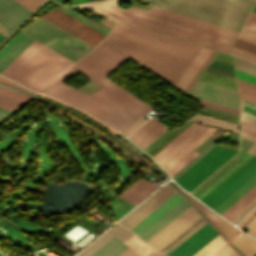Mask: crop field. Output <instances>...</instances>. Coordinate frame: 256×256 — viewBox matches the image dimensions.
<instances>
[{"label": "crop field", "instance_id": "8a807250", "mask_svg": "<svg viewBox=\"0 0 256 256\" xmlns=\"http://www.w3.org/2000/svg\"><path fill=\"white\" fill-rule=\"evenodd\" d=\"M127 59L102 42L78 60L44 94L70 103L120 131L153 108L104 77ZM75 70L104 88L88 95L60 82Z\"/></svg>", "mask_w": 256, "mask_h": 256}, {"label": "crop field", "instance_id": "ac0d7876", "mask_svg": "<svg viewBox=\"0 0 256 256\" xmlns=\"http://www.w3.org/2000/svg\"><path fill=\"white\" fill-rule=\"evenodd\" d=\"M107 44L174 85L201 46L118 22Z\"/></svg>", "mask_w": 256, "mask_h": 256}, {"label": "crop field", "instance_id": "34b2d1b8", "mask_svg": "<svg viewBox=\"0 0 256 256\" xmlns=\"http://www.w3.org/2000/svg\"><path fill=\"white\" fill-rule=\"evenodd\" d=\"M121 0H101L79 6L94 10L115 20L230 54L235 36L129 6H117Z\"/></svg>", "mask_w": 256, "mask_h": 256}, {"label": "crop field", "instance_id": "412701ff", "mask_svg": "<svg viewBox=\"0 0 256 256\" xmlns=\"http://www.w3.org/2000/svg\"><path fill=\"white\" fill-rule=\"evenodd\" d=\"M73 63L34 40L1 74L43 93Z\"/></svg>", "mask_w": 256, "mask_h": 256}, {"label": "crop field", "instance_id": "f4fd0767", "mask_svg": "<svg viewBox=\"0 0 256 256\" xmlns=\"http://www.w3.org/2000/svg\"><path fill=\"white\" fill-rule=\"evenodd\" d=\"M152 6L239 32L254 1L151 0ZM256 3V2H255Z\"/></svg>", "mask_w": 256, "mask_h": 256}, {"label": "crop field", "instance_id": "dd49c442", "mask_svg": "<svg viewBox=\"0 0 256 256\" xmlns=\"http://www.w3.org/2000/svg\"><path fill=\"white\" fill-rule=\"evenodd\" d=\"M22 31L74 61L93 48L40 17Z\"/></svg>", "mask_w": 256, "mask_h": 256}, {"label": "crop field", "instance_id": "e52e79f7", "mask_svg": "<svg viewBox=\"0 0 256 256\" xmlns=\"http://www.w3.org/2000/svg\"><path fill=\"white\" fill-rule=\"evenodd\" d=\"M237 151L216 146L175 181L190 192Z\"/></svg>", "mask_w": 256, "mask_h": 256}, {"label": "crop field", "instance_id": "d8731c3e", "mask_svg": "<svg viewBox=\"0 0 256 256\" xmlns=\"http://www.w3.org/2000/svg\"><path fill=\"white\" fill-rule=\"evenodd\" d=\"M186 96L238 109L239 99L235 89L197 81Z\"/></svg>", "mask_w": 256, "mask_h": 256}, {"label": "crop field", "instance_id": "5a996713", "mask_svg": "<svg viewBox=\"0 0 256 256\" xmlns=\"http://www.w3.org/2000/svg\"><path fill=\"white\" fill-rule=\"evenodd\" d=\"M200 217L201 216L190 207L147 243L159 250Z\"/></svg>", "mask_w": 256, "mask_h": 256}, {"label": "crop field", "instance_id": "3316defc", "mask_svg": "<svg viewBox=\"0 0 256 256\" xmlns=\"http://www.w3.org/2000/svg\"><path fill=\"white\" fill-rule=\"evenodd\" d=\"M175 192L176 191L166 183L158 192L152 195L118 223L129 229Z\"/></svg>", "mask_w": 256, "mask_h": 256}, {"label": "crop field", "instance_id": "28ad6ade", "mask_svg": "<svg viewBox=\"0 0 256 256\" xmlns=\"http://www.w3.org/2000/svg\"><path fill=\"white\" fill-rule=\"evenodd\" d=\"M215 235H217V233L206 224L168 255L190 256Z\"/></svg>", "mask_w": 256, "mask_h": 256}, {"label": "crop field", "instance_id": "d1516ede", "mask_svg": "<svg viewBox=\"0 0 256 256\" xmlns=\"http://www.w3.org/2000/svg\"><path fill=\"white\" fill-rule=\"evenodd\" d=\"M41 17L93 47L103 40L52 11Z\"/></svg>", "mask_w": 256, "mask_h": 256}, {"label": "crop field", "instance_id": "22f410ed", "mask_svg": "<svg viewBox=\"0 0 256 256\" xmlns=\"http://www.w3.org/2000/svg\"><path fill=\"white\" fill-rule=\"evenodd\" d=\"M31 13L15 0H0V22L12 30Z\"/></svg>", "mask_w": 256, "mask_h": 256}, {"label": "crop field", "instance_id": "cbeb9de0", "mask_svg": "<svg viewBox=\"0 0 256 256\" xmlns=\"http://www.w3.org/2000/svg\"><path fill=\"white\" fill-rule=\"evenodd\" d=\"M167 129L151 117L128 138L143 149Z\"/></svg>", "mask_w": 256, "mask_h": 256}, {"label": "crop field", "instance_id": "5142ce71", "mask_svg": "<svg viewBox=\"0 0 256 256\" xmlns=\"http://www.w3.org/2000/svg\"><path fill=\"white\" fill-rule=\"evenodd\" d=\"M204 127V125L192 123L152 158L161 164Z\"/></svg>", "mask_w": 256, "mask_h": 256}, {"label": "crop field", "instance_id": "d9b57169", "mask_svg": "<svg viewBox=\"0 0 256 256\" xmlns=\"http://www.w3.org/2000/svg\"><path fill=\"white\" fill-rule=\"evenodd\" d=\"M183 200L178 193L174 194L130 231L139 236Z\"/></svg>", "mask_w": 256, "mask_h": 256}, {"label": "crop field", "instance_id": "733c2abd", "mask_svg": "<svg viewBox=\"0 0 256 256\" xmlns=\"http://www.w3.org/2000/svg\"><path fill=\"white\" fill-rule=\"evenodd\" d=\"M34 39L26 34L19 32L1 51H0V72L18 56Z\"/></svg>", "mask_w": 256, "mask_h": 256}, {"label": "crop field", "instance_id": "4a817a6b", "mask_svg": "<svg viewBox=\"0 0 256 256\" xmlns=\"http://www.w3.org/2000/svg\"><path fill=\"white\" fill-rule=\"evenodd\" d=\"M211 52L212 50L202 47V49L199 51V53L196 55V57L193 59V61L190 63V65L187 67V69L184 71L174 86L183 91L193 76L196 74V72L199 70V68L202 66V64L205 62V60L208 58V56L211 54Z\"/></svg>", "mask_w": 256, "mask_h": 256}, {"label": "crop field", "instance_id": "bc2a9ffb", "mask_svg": "<svg viewBox=\"0 0 256 256\" xmlns=\"http://www.w3.org/2000/svg\"><path fill=\"white\" fill-rule=\"evenodd\" d=\"M189 207L190 206L184 200L139 237L147 242Z\"/></svg>", "mask_w": 256, "mask_h": 256}, {"label": "crop field", "instance_id": "214f88e0", "mask_svg": "<svg viewBox=\"0 0 256 256\" xmlns=\"http://www.w3.org/2000/svg\"><path fill=\"white\" fill-rule=\"evenodd\" d=\"M155 188H157V186L140 178L122 194H120V196L137 204Z\"/></svg>", "mask_w": 256, "mask_h": 256}, {"label": "crop field", "instance_id": "92a150f3", "mask_svg": "<svg viewBox=\"0 0 256 256\" xmlns=\"http://www.w3.org/2000/svg\"><path fill=\"white\" fill-rule=\"evenodd\" d=\"M185 195L223 233L228 240L238 231L191 197L189 194L186 193Z\"/></svg>", "mask_w": 256, "mask_h": 256}, {"label": "crop field", "instance_id": "dafd665d", "mask_svg": "<svg viewBox=\"0 0 256 256\" xmlns=\"http://www.w3.org/2000/svg\"><path fill=\"white\" fill-rule=\"evenodd\" d=\"M115 234L124 241L133 233L129 232L128 230L122 228L119 225H116L115 227H113L112 229L104 233L101 237H99L95 242H93L90 246H88L85 250H83L77 256H89L92 252H94L97 248L103 245Z\"/></svg>", "mask_w": 256, "mask_h": 256}, {"label": "crop field", "instance_id": "00972430", "mask_svg": "<svg viewBox=\"0 0 256 256\" xmlns=\"http://www.w3.org/2000/svg\"><path fill=\"white\" fill-rule=\"evenodd\" d=\"M255 163H256V156L251 158L247 163H245L241 168H239L235 173H233L229 178H227L223 183H221L217 188H215L211 193H209L201 201H203L207 205L209 202H211L216 196H218L223 190H225L230 184H232L237 178H239L244 172H246Z\"/></svg>", "mask_w": 256, "mask_h": 256}, {"label": "crop field", "instance_id": "a9b5d70f", "mask_svg": "<svg viewBox=\"0 0 256 256\" xmlns=\"http://www.w3.org/2000/svg\"><path fill=\"white\" fill-rule=\"evenodd\" d=\"M254 174H256V164L251 167L246 173H244L239 179H237L232 185H230L225 191H223L218 197H216L207 206L215 208L222 201H224L229 195H231L235 190H237L242 184H244L248 179H250Z\"/></svg>", "mask_w": 256, "mask_h": 256}, {"label": "crop field", "instance_id": "4177f3b9", "mask_svg": "<svg viewBox=\"0 0 256 256\" xmlns=\"http://www.w3.org/2000/svg\"><path fill=\"white\" fill-rule=\"evenodd\" d=\"M127 248L126 245L114 236L90 256H118Z\"/></svg>", "mask_w": 256, "mask_h": 256}, {"label": "crop field", "instance_id": "730fd06b", "mask_svg": "<svg viewBox=\"0 0 256 256\" xmlns=\"http://www.w3.org/2000/svg\"><path fill=\"white\" fill-rule=\"evenodd\" d=\"M189 121L197 122V123H202L214 127H219L227 130H232L237 133H239V126L236 123L220 120V119H215L203 115L196 114L193 117L189 119Z\"/></svg>", "mask_w": 256, "mask_h": 256}, {"label": "crop field", "instance_id": "eef30255", "mask_svg": "<svg viewBox=\"0 0 256 256\" xmlns=\"http://www.w3.org/2000/svg\"><path fill=\"white\" fill-rule=\"evenodd\" d=\"M255 184H256V175H254L250 180H248L243 186H241L237 191H235L231 196H229L224 202H222L214 210H216L218 213L221 214L236 200H238L243 194H245L250 188H252Z\"/></svg>", "mask_w": 256, "mask_h": 256}, {"label": "crop field", "instance_id": "ae1a2a85", "mask_svg": "<svg viewBox=\"0 0 256 256\" xmlns=\"http://www.w3.org/2000/svg\"><path fill=\"white\" fill-rule=\"evenodd\" d=\"M255 197H256V185L252 189H250L245 195H243L238 201H236L232 206H230L221 215H223L225 218L229 220L237 212H239L244 206H246L250 201H252Z\"/></svg>", "mask_w": 256, "mask_h": 256}, {"label": "crop field", "instance_id": "d3111659", "mask_svg": "<svg viewBox=\"0 0 256 256\" xmlns=\"http://www.w3.org/2000/svg\"><path fill=\"white\" fill-rule=\"evenodd\" d=\"M231 242L244 256L256 252V242L241 232Z\"/></svg>", "mask_w": 256, "mask_h": 256}, {"label": "crop field", "instance_id": "750c4746", "mask_svg": "<svg viewBox=\"0 0 256 256\" xmlns=\"http://www.w3.org/2000/svg\"><path fill=\"white\" fill-rule=\"evenodd\" d=\"M217 129L210 128L202 136H200L196 141H194L190 146H188L184 151H182L178 156H176L172 161H170L163 168L168 172L173 168L180 160H182L188 153L195 149L199 144H201L207 137H209Z\"/></svg>", "mask_w": 256, "mask_h": 256}, {"label": "crop field", "instance_id": "bd1437ed", "mask_svg": "<svg viewBox=\"0 0 256 256\" xmlns=\"http://www.w3.org/2000/svg\"><path fill=\"white\" fill-rule=\"evenodd\" d=\"M128 246H130L137 254L140 256H154L156 250L151 248L149 245L144 243L134 234L124 241Z\"/></svg>", "mask_w": 256, "mask_h": 256}, {"label": "crop field", "instance_id": "1d83c4d3", "mask_svg": "<svg viewBox=\"0 0 256 256\" xmlns=\"http://www.w3.org/2000/svg\"><path fill=\"white\" fill-rule=\"evenodd\" d=\"M225 243L222 237L218 235L192 256H214Z\"/></svg>", "mask_w": 256, "mask_h": 256}, {"label": "crop field", "instance_id": "120bbe31", "mask_svg": "<svg viewBox=\"0 0 256 256\" xmlns=\"http://www.w3.org/2000/svg\"><path fill=\"white\" fill-rule=\"evenodd\" d=\"M151 11H155V12H158V13H161V14H165V15H168V16H171V17H175V18H178V19H181V20H185V21H188V22H191V23H195V24L205 26V27H208V28H211V29H215V30H218V31H221V32H225V33H228V34H231V35H235V36L237 35V32H233V31H230V30H227V29H223V28H220V27H217V26H213V25H210V24H207V23H203V22H200V21H197V20H193V19H190V18H187V17H183V16L173 14V13H170V12H167V11H163V10H160V9H157V8L152 7Z\"/></svg>", "mask_w": 256, "mask_h": 256}, {"label": "crop field", "instance_id": "d32e631a", "mask_svg": "<svg viewBox=\"0 0 256 256\" xmlns=\"http://www.w3.org/2000/svg\"><path fill=\"white\" fill-rule=\"evenodd\" d=\"M59 10L63 11L64 13L70 15L71 17L77 19L78 21L84 23L85 25L91 27L92 29L98 31L99 33L103 34V35H107V33L109 31H107L106 29H104L103 27L89 21L87 18L79 15L78 13L66 8V7H61V8H58Z\"/></svg>", "mask_w": 256, "mask_h": 256}, {"label": "crop field", "instance_id": "5866460e", "mask_svg": "<svg viewBox=\"0 0 256 256\" xmlns=\"http://www.w3.org/2000/svg\"><path fill=\"white\" fill-rule=\"evenodd\" d=\"M240 117L256 123V106L241 101Z\"/></svg>", "mask_w": 256, "mask_h": 256}, {"label": "crop field", "instance_id": "028f5c9d", "mask_svg": "<svg viewBox=\"0 0 256 256\" xmlns=\"http://www.w3.org/2000/svg\"><path fill=\"white\" fill-rule=\"evenodd\" d=\"M0 95L9 97V98H12V99H15V100H19V101H22V102H25V103H27V102H29L33 99L29 96H26L22 93H19V92L15 91V90L8 89V88L2 87V86H0Z\"/></svg>", "mask_w": 256, "mask_h": 256}, {"label": "crop field", "instance_id": "e1f06a70", "mask_svg": "<svg viewBox=\"0 0 256 256\" xmlns=\"http://www.w3.org/2000/svg\"><path fill=\"white\" fill-rule=\"evenodd\" d=\"M233 59H234V65L236 69L256 75V64L250 63L248 61L239 59L234 56H233Z\"/></svg>", "mask_w": 256, "mask_h": 256}, {"label": "crop field", "instance_id": "0bd39190", "mask_svg": "<svg viewBox=\"0 0 256 256\" xmlns=\"http://www.w3.org/2000/svg\"><path fill=\"white\" fill-rule=\"evenodd\" d=\"M200 152L192 151L187 157H185L179 164H177L172 170L168 173L172 177L175 175L179 170H181L185 165H187L191 160H193Z\"/></svg>", "mask_w": 256, "mask_h": 256}, {"label": "crop field", "instance_id": "b80d0937", "mask_svg": "<svg viewBox=\"0 0 256 256\" xmlns=\"http://www.w3.org/2000/svg\"><path fill=\"white\" fill-rule=\"evenodd\" d=\"M234 47L256 54V44L237 38Z\"/></svg>", "mask_w": 256, "mask_h": 256}, {"label": "crop field", "instance_id": "c035e120", "mask_svg": "<svg viewBox=\"0 0 256 256\" xmlns=\"http://www.w3.org/2000/svg\"><path fill=\"white\" fill-rule=\"evenodd\" d=\"M209 127H205L198 134H196L191 140H189L184 146H182L178 151H176L171 157H169L165 162L161 165L162 167L167 164L171 159H173L177 154H179L183 149H185L189 144H191L195 139H197L201 134H203Z\"/></svg>", "mask_w": 256, "mask_h": 256}, {"label": "crop field", "instance_id": "c21b1889", "mask_svg": "<svg viewBox=\"0 0 256 256\" xmlns=\"http://www.w3.org/2000/svg\"><path fill=\"white\" fill-rule=\"evenodd\" d=\"M53 11L56 12V13H58V14H60L61 16L65 17V18L69 19L70 21H72V22L78 24L79 26L85 28L86 30H88V31H90V32H92V33H94L95 35H97V36H99V37H101V38L104 39L105 36L99 34L98 32L92 30L91 28L85 26L84 24H82V23L78 22L77 20L71 18L70 16L64 14L63 12H61V11H59V10H57V9H55V10H53Z\"/></svg>", "mask_w": 256, "mask_h": 256}, {"label": "crop field", "instance_id": "03da06ac", "mask_svg": "<svg viewBox=\"0 0 256 256\" xmlns=\"http://www.w3.org/2000/svg\"><path fill=\"white\" fill-rule=\"evenodd\" d=\"M30 11H34L44 0H17Z\"/></svg>", "mask_w": 256, "mask_h": 256}, {"label": "crop field", "instance_id": "b54c1fbb", "mask_svg": "<svg viewBox=\"0 0 256 256\" xmlns=\"http://www.w3.org/2000/svg\"><path fill=\"white\" fill-rule=\"evenodd\" d=\"M241 127L243 131L256 135V124L247 120L241 119Z\"/></svg>", "mask_w": 256, "mask_h": 256}, {"label": "crop field", "instance_id": "5d738f31", "mask_svg": "<svg viewBox=\"0 0 256 256\" xmlns=\"http://www.w3.org/2000/svg\"><path fill=\"white\" fill-rule=\"evenodd\" d=\"M215 54L216 52L213 51L212 54L209 56V58L206 60V62L203 64V66L200 68V70L197 72V74L194 76V78L191 80V82L188 84V86L185 88L183 92L187 93V91L190 89V87L193 85V83L196 81V79L199 77L201 72L204 70V68L207 66V64L210 62V60L213 58Z\"/></svg>", "mask_w": 256, "mask_h": 256}, {"label": "crop field", "instance_id": "d23c7cc5", "mask_svg": "<svg viewBox=\"0 0 256 256\" xmlns=\"http://www.w3.org/2000/svg\"><path fill=\"white\" fill-rule=\"evenodd\" d=\"M0 103L4 104V105H7V106H11V107L17 108V109H19L23 105H25V103H22V102H19V101H15V100L3 97V96H0Z\"/></svg>", "mask_w": 256, "mask_h": 256}, {"label": "crop field", "instance_id": "425ffa30", "mask_svg": "<svg viewBox=\"0 0 256 256\" xmlns=\"http://www.w3.org/2000/svg\"><path fill=\"white\" fill-rule=\"evenodd\" d=\"M239 38L256 43V33L247 29H242Z\"/></svg>", "mask_w": 256, "mask_h": 256}, {"label": "crop field", "instance_id": "25e5ab78", "mask_svg": "<svg viewBox=\"0 0 256 256\" xmlns=\"http://www.w3.org/2000/svg\"><path fill=\"white\" fill-rule=\"evenodd\" d=\"M145 118H140L139 120H137L136 122H134L133 124H131L129 127H127L126 129H124L123 131H121V134H123L124 136H128L129 134H131L135 129H137L142 123H144Z\"/></svg>", "mask_w": 256, "mask_h": 256}, {"label": "crop field", "instance_id": "73cf0c24", "mask_svg": "<svg viewBox=\"0 0 256 256\" xmlns=\"http://www.w3.org/2000/svg\"><path fill=\"white\" fill-rule=\"evenodd\" d=\"M205 223H206L205 220L201 222L198 226H196L193 230H191L188 234H186L182 239H180L177 243H175L172 247H170L167 251H165V253L168 254L169 252H171L175 247H177L180 243H182L186 238H188L192 233H194L197 229H199Z\"/></svg>", "mask_w": 256, "mask_h": 256}, {"label": "crop field", "instance_id": "89e229c0", "mask_svg": "<svg viewBox=\"0 0 256 256\" xmlns=\"http://www.w3.org/2000/svg\"><path fill=\"white\" fill-rule=\"evenodd\" d=\"M235 71H236V75H237L238 78H241L243 80H246V81H249V82H252V83L256 84V76L244 73V72L236 70V69H235Z\"/></svg>", "mask_w": 256, "mask_h": 256}, {"label": "crop field", "instance_id": "1f2cbd36", "mask_svg": "<svg viewBox=\"0 0 256 256\" xmlns=\"http://www.w3.org/2000/svg\"><path fill=\"white\" fill-rule=\"evenodd\" d=\"M232 53L237 54V55L242 56V57H245V58H248V59H251L253 61H256V55L245 52V51H242L240 49H237V48L233 47Z\"/></svg>", "mask_w": 256, "mask_h": 256}, {"label": "crop field", "instance_id": "dbb93151", "mask_svg": "<svg viewBox=\"0 0 256 256\" xmlns=\"http://www.w3.org/2000/svg\"><path fill=\"white\" fill-rule=\"evenodd\" d=\"M0 82L4 83V84H6V85H9V86L18 88V89H20V90L29 92V93L31 92L30 90H28V89H26V88H24V87H22V86H20V85H18V84H15V83H13V82H11V81H9V80H7V79L1 77V76H0Z\"/></svg>", "mask_w": 256, "mask_h": 256}, {"label": "crop field", "instance_id": "0fb4a251", "mask_svg": "<svg viewBox=\"0 0 256 256\" xmlns=\"http://www.w3.org/2000/svg\"><path fill=\"white\" fill-rule=\"evenodd\" d=\"M199 102L206 105V106H210V107H214V108H218V109H222V110H225V111H229V112H233V113L238 114V110H236V109H232V108H228V107H224V106H219V105H215V104H211V103H207V102H202V101H199Z\"/></svg>", "mask_w": 256, "mask_h": 256}, {"label": "crop field", "instance_id": "1d79db26", "mask_svg": "<svg viewBox=\"0 0 256 256\" xmlns=\"http://www.w3.org/2000/svg\"><path fill=\"white\" fill-rule=\"evenodd\" d=\"M255 213L256 206L242 218L241 222L238 224V227L241 228Z\"/></svg>", "mask_w": 256, "mask_h": 256}, {"label": "crop field", "instance_id": "9d1cf04e", "mask_svg": "<svg viewBox=\"0 0 256 256\" xmlns=\"http://www.w3.org/2000/svg\"><path fill=\"white\" fill-rule=\"evenodd\" d=\"M256 202V198L250 202L245 208H243L239 213H237L232 219H230L229 221H231L232 223L235 224V222L237 221V219L240 217L241 214H243L250 206H252L254 203Z\"/></svg>", "mask_w": 256, "mask_h": 256}, {"label": "crop field", "instance_id": "447ae74e", "mask_svg": "<svg viewBox=\"0 0 256 256\" xmlns=\"http://www.w3.org/2000/svg\"><path fill=\"white\" fill-rule=\"evenodd\" d=\"M218 256H238L232 248L228 245L226 246Z\"/></svg>", "mask_w": 256, "mask_h": 256}, {"label": "crop field", "instance_id": "0765c3eb", "mask_svg": "<svg viewBox=\"0 0 256 256\" xmlns=\"http://www.w3.org/2000/svg\"><path fill=\"white\" fill-rule=\"evenodd\" d=\"M245 24L256 28V12H251Z\"/></svg>", "mask_w": 256, "mask_h": 256}, {"label": "crop field", "instance_id": "db79e9e6", "mask_svg": "<svg viewBox=\"0 0 256 256\" xmlns=\"http://www.w3.org/2000/svg\"><path fill=\"white\" fill-rule=\"evenodd\" d=\"M239 95H240L241 100H244V101H247V102H250V103L256 105V98L248 96V95L240 93V92H239Z\"/></svg>", "mask_w": 256, "mask_h": 256}, {"label": "crop field", "instance_id": "7b73153f", "mask_svg": "<svg viewBox=\"0 0 256 256\" xmlns=\"http://www.w3.org/2000/svg\"><path fill=\"white\" fill-rule=\"evenodd\" d=\"M237 81H238V84H239V85H242V86H245V87H247V88L256 90V85H254V84H252V83L243 81V80L238 79V78H237Z\"/></svg>", "mask_w": 256, "mask_h": 256}, {"label": "crop field", "instance_id": "78b8030e", "mask_svg": "<svg viewBox=\"0 0 256 256\" xmlns=\"http://www.w3.org/2000/svg\"><path fill=\"white\" fill-rule=\"evenodd\" d=\"M11 31L12 30H10L8 27L0 23V34L6 37Z\"/></svg>", "mask_w": 256, "mask_h": 256}, {"label": "crop field", "instance_id": "0f1d7ab4", "mask_svg": "<svg viewBox=\"0 0 256 256\" xmlns=\"http://www.w3.org/2000/svg\"><path fill=\"white\" fill-rule=\"evenodd\" d=\"M241 137H242V138H245V139H247V140L256 142V136L251 135V134H248V133H246V132H243V131H242Z\"/></svg>", "mask_w": 256, "mask_h": 256}, {"label": "crop field", "instance_id": "e1d0b9f6", "mask_svg": "<svg viewBox=\"0 0 256 256\" xmlns=\"http://www.w3.org/2000/svg\"><path fill=\"white\" fill-rule=\"evenodd\" d=\"M238 88H239V91H240V92H243V93H246V94H248V95H251V96L256 97V92L247 90V89L242 88V87H239V86H238Z\"/></svg>", "mask_w": 256, "mask_h": 256}, {"label": "crop field", "instance_id": "ae633e8c", "mask_svg": "<svg viewBox=\"0 0 256 256\" xmlns=\"http://www.w3.org/2000/svg\"><path fill=\"white\" fill-rule=\"evenodd\" d=\"M119 256H138L137 254H135L132 250H130L129 248L127 250H125L121 255Z\"/></svg>", "mask_w": 256, "mask_h": 256}, {"label": "crop field", "instance_id": "d14b1444", "mask_svg": "<svg viewBox=\"0 0 256 256\" xmlns=\"http://www.w3.org/2000/svg\"><path fill=\"white\" fill-rule=\"evenodd\" d=\"M255 224H256V216L242 230L244 231L246 228L251 229Z\"/></svg>", "mask_w": 256, "mask_h": 256}, {"label": "crop field", "instance_id": "c39391a2", "mask_svg": "<svg viewBox=\"0 0 256 256\" xmlns=\"http://www.w3.org/2000/svg\"><path fill=\"white\" fill-rule=\"evenodd\" d=\"M247 153L255 154L256 155V143H254L251 148L247 151Z\"/></svg>", "mask_w": 256, "mask_h": 256}, {"label": "crop field", "instance_id": "ade564c9", "mask_svg": "<svg viewBox=\"0 0 256 256\" xmlns=\"http://www.w3.org/2000/svg\"><path fill=\"white\" fill-rule=\"evenodd\" d=\"M247 233H249L250 235L256 238V225Z\"/></svg>", "mask_w": 256, "mask_h": 256}, {"label": "crop field", "instance_id": "c5b07064", "mask_svg": "<svg viewBox=\"0 0 256 256\" xmlns=\"http://www.w3.org/2000/svg\"><path fill=\"white\" fill-rule=\"evenodd\" d=\"M0 107L5 108V109H8V110H11V111H14V112L17 111V109L10 108V107H7V106L1 105V104H0Z\"/></svg>", "mask_w": 256, "mask_h": 256}, {"label": "crop field", "instance_id": "c3a83c6f", "mask_svg": "<svg viewBox=\"0 0 256 256\" xmlns=\"http://www.w3.org/2000/svg\"><path fill=\"white\" fill-rule=\"evenodd\" d=\"M9 115H6V114H3V113H0V119H3L5 120L6 118H8Z\"/></svg>", "mask_w": 256, "mask_h": 256}, {"label": "crop field", "instance_id": "fb207236", "mask_svg": "<svg viewBox=\"0 0 256 256\" xmlns=\"http://www.w3.org/2000/svg\"><path fill=\"white\" fill-rule=\"evenodd\" d=\"M233 55H234V54H233ZM234 56H237V55H234ZM237 57H239V56H237ZM239 58H242V57H239ZM242 59H245V58H242ZM245 60H248V59H245ZM248 61L253 62V61H251V60H248ZM253 63H256V62H253Z\"/></svg>", "mask_w": 256, "mask_h": 256}, {"label": "crop field", "instance_id": "7312dd0a", "mask_svg": "<svg viewBox=\"0 0 256 256\" xmlns=\"http://www.w3.org/2000/svg\"><path fill=\"white\" fill-rule=\"evenodd\" d=\"M5 37H3L2 35H0V42L4 39Z\"/></svg>", "mask_w": 256, "mask_h": 256}, {"label": "crop field", "instance_id": "180be81f", "mask_svg": "<svg viewBox=\"0 0 256 256\" xmlns=\"http://www.w3.org/2000/svg\"><path fill=\"white\" fill-rule=\"evenodd\" d=\"M159 254H160L159 252H156L155 256H159Z\"/></svg>", "mask_w": 256, "mask_h": 256}, {"label": "crop field", "instance_id": "f0312440", "mask_svg": "<svg viewBox=\"0 0 256 256\" xmlns=\"http://www.w3.org/2000/svg\"><path fill=\"white\" fill-rule=\"evenodd\" d=\"M253 11H256V5H255V7L253 8Z\"/></svg>", "mask_w": 256, "mask_h": 256}, {"label": "crop field", "instance_id": "1f1604b0", "mask_svg": "<svg viewBox=\"0 0 256 256\" xmlns=\"http://www.w3.org/2000/svg\"><path fill=\"white\" fill-rule=\"evenodd\" d=\"M252 256H256V253H254Z\"/></svg>", "mask_w": 256, "mask_h": 256}, {"label": "crop field", "instance_id": "819c52e7", "mask_svg": "<svg viewBox=\"0 0 256 256\" xmlns=\"http://www.w3.org/2000/svg\"><path fill=\"white\" fill-rule=\"evenodd\" d=\"M160 256H165V255H163V254H160Z\"/></svg>", "mask_w": 256, "mask_h": 256}, {"label": "crop field", "instance_id": "c821d689", "mask_svg": "<svg viewBox=\"0 0 256 256\" xmlns=\"http://www.w3.org/2000/svg\"><path fill=\"white\" fill-rule=\"evenodd\" d=\"M3 122V120H0V123Z\"/></svg>", "mask_w": 256, "mask_h": 256}]
</instances>
